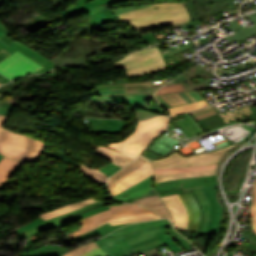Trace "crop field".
Returning <instances> with one entry per match:
<instances>
[{"mask_svg":"<svg viewBox=\"0 0 256 256\" xmlns=\"http://www.w3.org/2000/svg\"><path fill=\"white\" fill-rule=\"evenodd\" d=\"M183 204L185 205L186 209H187V212L189 214V222H188V228L187 230H190L192 231V226H193V212H192V209H191V206L187 200V198L184 196L183 193H180L179 194Z\"/></svg>","mask_w":256,"mask_h":256,"instance_id":"41","label":"crop field"},{"mask_svg":"<svg viewBox=\"0 0 256 256\" xmlns=\"http://www.w3.org/2000/svg\"><path fill=\"white\" fill-rule=\"evenodd\" d=\"M94 127L101 133L116 134L124 129L128 124L124 120H109L99 118H87Z\"/></svg>","mask_w":256,"mask_h":256,"instance_id":"17","label":"crop field"},{"mask_svg":"<svg viewBox=\"0 0 256 256\" xmlns=\"http://www.w3.org/2000/svg\"><path fill=\"white\" fill-rule=\"evenodd\" d=\"M97 201L98 200H96L94 198H90L86 201H82V202H79L77 204H72V205H69V206L61 207V208L56 209L54 211L41 214L40 216H42L44 218V220H46V219H49V218H52V217H56V216L68 213L70 211H73L75 209H78V208L83 207L87 204L94 203V202H97Z\"/></svg>","mask_w":256,"mask_h":256,"instance_id":"26","label":"crop field"},{"mask_svg":"<svg viewBox=\"0 0 256 256\" xmlns=\"http://www.w3.org/2000/svg\"><path fill=\"white\" fill-rule=\"evenodd\" d=\"M2 95H0V97H1Z\"/></svg>","mask_w":256,"mask_h":256,"instance_id":"63","label":"crop field"},{"mask_svg":"<svg viewBox=\"0 0 256 256\" xmlns=\"http://www.w3.org/2000/svg\"><path fill=\"white\" fill-rule=\"evenodd\" d=\"M112 1H113L114 3H117V2L128 1V0H112ZM107 7H108L107 4L104 3V4L98 6V7L94 8V9L88 11L87 13H88L89 15H90V14H93V13H97V12H99V11H101V10L107 8Z\"/></svg>","mask_w":256,"mask_h":256,"instance_id":"48","label":"crop field"},{"mask_svg":"<svg viewBox=\"0 0 256 256\" xmlns=\"http://www.w3.org/2000/svg\"><path fill=\"white\" fill-rule=\"evenodd\" d=\"M244 233H245L248 237H250V238L256 240V235L250 233L248 230L244 231Z\"/></svg>","mask_w":256,"mask_h":256,"instance_id":"56","label":"crop field"},{"mask_svg":"<svg viewBox=\"0 0 256 256\" xmlns=\"http://www.w3.org/2000/svg\"><path fill=\"white\" fill-rule=\"evenodd\" d=\"M100 203H103V202H98V203H96V204L87 206V207H85V208L79 209V210L74 211V212H72V213H69V214H66V215H64V216L58 217V220L63 219V218H66V217L71 216V215H73V214H76V213L81 212V211H83V210H86V209H88V208H90V207H93V206H95V205H98V204H100Z\"/></svg>","mask_w":256,"mask_h":256,"instance_id":"52","label":"crop field"},{"mask_svg":"<svg viewBox=\"0 0 256 256\" xmlns=\"http://www.w3.org/2000/svg\"><path fill=\"white\" fill-rule=\"evenodd\" d=\"M216 174V169L208 171H198V172H186V173H173V174H155L156 182L181 179L193 176H202V175H213Z\"/></svg>","mask_w":256,"mask_h":256,"instance_id":"24","label":"crop field"},{"mask_svg":"<svg viewBox=\"0 0 256 256\" xmlns=\"http://www.w3.org/2000/svg\"><path fill=\"white\" fill-rule=\"evenodd\" d=\"M251 222L256 233V206H251Z\"/></svg>","mask_w":256,"mask_h":256,"instance_id":"50","label":"crop field"},{"mask_svg":"<svg viewBox=\"0 0 256 256\" xmlns=\"http://www.w3.org/2000/svg\"><path fill=\"white\" fill-rule=\"evenodd\" d=\"M67 250H64L59 247H43L39 248L25 256H41V255H48V254H56V253H61L64 254Z\"/></svg>","mask_w":256,"mask_h":256,"instance_id":"32","label":"crop field"},{"mask_svg":"<svg viewBox=\"0 0 256 256\" xmlns=\"http://www.w3.org/2000/svg\"><path fill=\"white\" fill-rule=\"evenodd\" d=\"M57 225V224H56ZM52 226H55V225H51V226H49V227H47V228H50V227H52ZM47 228H45V229H47ZM44 230V229H43ZM41 231V230H40ZM39 232V231H38ZM35 233H37V232H35ZM35 233H33V234H35ZM33 234H30V235H27V236H24V237H22V238H25V237H28V236H31V235H33ZM22 238H20V239H22ZM19 239V240H20Z\"/></svg>","mask_w":256,"mask_h":256,"instance_id":"59","label":"crop field"},{"mask_svg":"<svg viewBox=\"0 0 256 256\" xmlns=\"http://www.w3.org/2000/svg\"><path fill=\"white\" fill-rule=\"evenodd\" d=\"M146 6H150V5L135 6V7H128V8H118V9H116V10H113V12H114L115 15H116V14H118V13L130 11V10H134V9H138V8H142V7H146Z\"/></svg>","mask_w":256,"mask_h":256,"instance_id":"51","label":"crop field"},{"mask_svg":"<svg viewBox=\"0 0 256 256\" xmlns=\"http://www.w3.org/2000/svg\"><path fill=\"white\" fill-rule=\"evenodd\" d=\"M249 111L246 110L244 112L238 113L236 115L230 116L228 118L223 119L218 113L208 116L206 118L198 120L199 124L204 128L205 131L213 129L215 127L221 126L223 124L229 123L241 117L249 115Z\"/></svg>","mask_w":256,"mask_h":256,"instance_id":"18","label":"crop field"},{"mask_svg":"<svg viewBox=\"0 0 256 256\" xmlns=\"http://www.w3.org/2000/svg\"><path fill=\"white\" fill-rule=\"evenodd\" d=\"M226 147L217 151L206 154L182 157L176 152L170 156L162 159L151 161L154 168H174V167H188L194 165L213 164L217 163L221 156L229 149Z\"/></svg>","mask_w":256,"mask_h":256,"instance_id":"8","label":"crop field"},{"mask_svg":"<svg viewBox=\"0 0 256 256\" xmlns=\"http://www.w3.org/2000/svg\"><path fill=\"white\" fill-rule=\"evenodd\" d=\"M192 194H193V192H192ZM194 195V194H193ZM194 197H195V195H194ZM195 199H196V197H195ZM196 201H197V199H196ZM197 203H198V205H199V202L197 201ZM199 207H200V205H199ZM200 210H201V213H202V216H203V212H202V209H201V207H200ZM201 221H202V217H201ZM200 225H201V223H200ZM199 229H200V227H199ZM201 230V229H200ZM199 232V231H198Z\"/></svg>","mask_w":256,"mask_h":256,"instance_id":"58","label":"crop field"},{"mask_svg":"<svg viewBox=\"0 0 256 256\" xmlns=\"http://www.w3.org/2000/svg\"><path fill=\"white\" fill-rule=\"evenodd\" d=\"M155 239H158V236L153 237V238L148 239V240H145V241H143V242H140V243L134 244V245L129 246V247H130V248H132V247H135V246H138V245L144 244V243H146V242H149V241H152V240H155Z\"/></svg>","mask_w":256,"mask_h":256,"instance_id":"55","label":"crop field"},{"mask_svg":"<svg viewBox=\"0 0 256 256\" xmlns=\"http://www.w3.org/2000/svg\"><path fill=\"white\" fill-rule=\"evenodd\" d=\"M214 188H216V185L183 190L184 192L193 191L202 206L204 216L200 232L207 231L218 235L223 209L217 201L216 190Z\"/></svg>","mask_w":256,"mask_h":256,"instance_id":"6","label":"crop field"},{"mask_svg":"<svg viewBox=\"0 0 256 256\" xmlns=\"http://www.w3.org/2000/svg\"><path fill=\"white\" fill-rule=\"evenodd\" d=\"M55 223H58L57 220H56V218L51 219V220H48V221H46V222H44V223H42V224H39V225H37V226H35V227L29 229V230L22 231V232H18L17 234H18L19 237H21V236H24V235L33 233V232H35V231H38V230H40V229H42V228H44V227H47V226H49V225H51V224H55Z\"/></svg>","mask_w":256,"mask_h":256,"instance_id":"35","label":"crop field"},{"mask_svg":"<svg viewBox=\"0 0 256 256\" xmlns=\"http://www.w3.org/2000/svg\"><path fill=\"white\" fill-rule=\"evenodd\" d=\"M119 168L120 167H118V166L114 165L113 163H111V164H108V165L100 168L99 170H101L103 173H105L108 176L107 178H109V176L111 174H113L115 171H117Z\"/></svg>","mask_w":256,"mask_h":256,"instance_id":"45","label":"crop field"},{"mask_svg":"<svg viewBox=\"0 0 256 256\" xmlns=\"http://www.w3.org/2000/svg\"><path fill=\"white\" fill-rule=\"evenodd\" d=\"M76 2H77V6L70 8L66 11L60 12L62 16L52 19V21L55 22L59 19L66 18V17H72V16L77 15L83 11L84 12L88 11V10L104 3L105 0H77Z\"/></svg>","mask_w":256,"mask_h":256,"instance_id":"19","label":"crop field"},{"mask_svg":"<svg viewBox=\"0 0 256 256\" xmlns=\"http://www.w3.org/2000/svg\"><path fill=\"white\" fill-rule=\"evenodd\" d=\"M237 249H241L249 252H256V245L248 243V244L237 247Z\"/></svg>","mask_w":256,"mask_h":256,"instance_id":"49","label":"crop field"},{"mask_svg":"<svg viewBox=\"0 0 256 256\" xmlns=\"http://www.w3.org/2000/svg\"><path fill=\"white\" fill-rule=\"evenodd\" d=\"M95 247H97V245L94 242H92L84 246L78 247L70 252H67L64 256H79Z\"/></svg>","mask_w":256,"mask_h":256,"instance_id":"34","label":"crop field"},{"mask_svg":"<svg viewBox=\"0 0 256 256\" xmlns=\"http://www.w3.org/2000/svg\"><path fill=\"white\" fill-rule=\"evenodd\" d=\"M216 168V164L195 166L189 168H175V169H154L155 173H173V172H186V171H198Z\"/></svg>","mask_w":256,"mask_h":256,"instance_id":"29","label":"crop field"},{"mask_svg":"<svg viewBox=\"0 0 256 256\" xmlns=\"http://www.w3.org/2000/svg\"><path fill=\"white\" fill-rule=\"evenodd\" d=\"M23 165V163L4 158L0 162V185L18 172Z\"/></svg>","mask_w":256,"mask_h":256,"instance_id":"22","label":"crop field"},{"mask_svg":"<svg viewBox=\"0 0 256 256\" xmlns=\"http://www.w3.org/2000/svg\"><path fill=\"white\" fill-rule=\"evenodd\" d=\"M243 233V232H242ZM243 235L246 237V238H248L244 233H243ZM249 240L248 241H250L251 243H255L256 244V241H254V240H252V239H250V238H248Z\"/></svg>","mask_w":256,"mask_h":256,"instance_id":"60","label":"crop field"},{"mask_svg":"<svg viewBox=\"0 0 256 256\" xmlns=\"http://www.w3.org/2000/svg\"><path fill=\"white\" fill-rule=\"evenodd\" d=\"M248 16L253 21V23L255 25L243 29V27L241 25H239L236 20L230 22V25L232 26V27H230V29H232L236 33L235 35H233L231 37L234 38L236 41L242 40L245 37L256 33V13L248 15Z\"/></svg>","mask_w":256,"mask_h":256,"instance_id":"23","label":"crop field"},{"mask_svg":"<svg viewBox=\"0 0 256 256\" xmlns=\"http://www.w3.org/2000/svg\"><path fill=\"white\" fill-rule=\"evenodd\" d=\"M243 2H245L244 0H242Z\"/></svg>","mask_w":256,"mask_h":256,"instance_id":"62","label":"crop field"},{"mask_svg":"<svg viewBox=\"0 0 256 256\" xmlns=\"http://www.w3.org/2000/svg\"><path fill=\"white\" fill-rule=\"evenodd\" d=\"M15 102H16L15 100H13L12 98H10L8 96L5 99H3L2 101H0V114L8 116L10 114L11 110L13 109V107L15 106L14 105ZM18 105H19V103H18Z\"/></svg>","mask_w":256,"mask_h":256,"instance_id":"33","label":"crop field"},{"mask_svg":"<svg viewBox=\"0 0 256 256\" xmlns=\"http://www.w3.org/2000/svg\"><path fill=\"white\" fill-rule=\"evenodd\" d=\"M20 51L22 54L25 56L31 58L32 60L40 63L43 65L45 68L42 70H39L37 73H42L45 71H48L52 69L54 64L49 61L47 58H45L43 55L39 54L38 52L34 51L33 49L19 43L18 41L13 43L12 45L8 46L0 41V61L3 60L4 58L8 57L15 51ZM39 64V65H40ZM36 74V73H34Z\"/></svg>","mask_w":256,"mask_h":256,"instance_id":"12","label":"crop field"},{"mask_svg":"<svg viewBox=\"0 0 256 256\" xmlns=\"http://www.w3.org/2000/svg\"><path fill=\"white\" fill-rule=\"evenodd\" d=\"M112 83H128L126 78L123 79H117V80H110L102 83H97V85H102V84H112Z\"/></svg>","mask_w":256,"mask_h":256,"instance_id":"53","label":"crop field"},{"mask_svg":"<svg viewBox=\"0 0 256 256\" xmlns=\"http://www.w3.org/2000/svg\"><path fill=\"white\" fill-rule=\"evenodd\" d=\"M118 16L132 22L138 32L190 21L184 3H159Z\"/></svg>","mask_w":256,"mask_h":256,"instance_id":"2","label":"crop field"},{"mask_svg":"<svg viewBox=\"0 0 256 256\" xmlns=\"http://www.w3.org/2000/svg\"><path fill=\"white\" fill-rule=\"evenodd\" d=\"M41 68H43L41 65L26 58L18 51L0 62V73L12 80L20 75L36 72Z\"/></svg>","mask_w":256,"mask_h":256,"instance_id":"10","label":"crop field"},{"mask_svg":"<svg viewBox=\"0 0 256 256\" xmlns=\"http://www.w3.org/2000/svg\"><path fill=\"white\" fill-rule=\"evenodd\" d=\"M162 199L173 217L175 226L186 230L188 214L178 194L163 196Z\"/></svg>","mask_w":256,"mask_h":256,"instance_id":"14","label":"crop field"},{"mask_svg":"<svg viewBox=\"0 0 256 256\" xmlns=\"http://www.w3.org/2000/svg\"><path fill=\"white\" fill-rule=\"evenodd\" d=\"M126 225H129V224L118 225V226H110L109 223H106L103 226H101V227H99V228H97V229H95V230H93V231H91L87 234L81 235L77 238H73L70 241H71V244H73V243H76V242H79V241L97 236L98 234L103 237L104 235H106V234H108V233H110V232H112V231H114L118 228L126 226Z\"/></svg>","mask_w":256,"mask_h":256,"instance_id":"25","label":"crop field"},{"mask_svg":"<svg viewBox=\"0 0 256 256\" xmlns=\"http://www.w3.org/2000/svg\"><path fill=\"white\" fill-rule=\"evenodd\" d=\"M6 119L7 117L0 115V153L19 161L36 163L43 153L45 143L2 128Z\"/></svg>","mask_w":256,"mask_h":256,"instance_id":"3","label":"crop field"},{"mask_svg":"<svg viewBox=\"0 0 256 256\" xmlns=\"http://www.w3.org/2000/svg\"><path fill=\"white\" fill-rule=\"evenodd\" d=\"M1 85V84H0Z\"/></svg>","mask_w":256,"mask_h":256,"instance_id":"64","label":"crop field"},{"mask_svg":"<svg viewBox=\"0 0 256 256\" xmlns=\"http://www.w3.org/2000/svg\"><path fill=\"white\" fill-rule=\"evenodd\" d=\"M156 254H159V252L157 251L156 248L151 249V250L146 251V252H143L144 256H153V255H156Z\"/></svg>","mask_w":256,"mask_h":256,"instance_id":"54","label":"crop field"},{"mask_svg":"<svg viewBox=\"0 0 256 256\" xmlns=\"http://www.w3.org/2000/svg\"><path fill=\"white\" fill-rule=\"evenodd\" d=\"M160 216H154V217H143V218H128V219H122L114 222H110L111 225H118V224H124V223H131V222H142V221H148V220H154V219H160Z\"/></svg>","mask_w":256,"mask_h":256,"instance_id":"39","label":"crop field"},{"mask_svg":"<svg viewBox=\"0 0 256 256\" xmlns=\"http://www.w3.org/2000/svg\"><path fill=\"white\" fill-rule=\"evenodd\" d=\"M147 162H148L147 160L143 159L142 157H139L130 165L125 167L123 170L111 176V178L107 181V186L109 191H111L120 180H122L124 177H126L131 172H133L134 170H136L137 168H139L140 166L144 165Z\"/></svg>","mask_w":256,"mask_h":256,"instance_id":"20","label":"crop field"},{"mask_svg":"<svg viewBox=\"0 0 256 256\" xmlns=\"http://www.w3.org/2000/svg\"><path fill=\"white\" fill-rule=\"evenodd\" d=\"M128 203H135L150 208L158 212L163 217L170 219L172 222V217L169 211L167 210L166 206L164 205V203L162 202L161 198L157 193L136 200H132L131 202Z\"/></svg>","mask_w":256,"mask_h":256,"instance_id":"16","label":"crop field"},{"mask_svg":"<svg viewBox=\"0 0 256 256\" xmlns=\"http://www.w3.org/2000/svg\"><path fill=\"white\" fill-rule=\"evenodd\" d=\"M119 20L121 19L117 15L115 16L110 8L90 16V22L94 27L105 22H115Z\"/></svg>","mask_w":256,"mask_h":256,"instance_id":"27","label":"crop field"},{"mask_svg":"<svg viewBox=\"0 0 256 256\" xmlns=\"http://www.w3.org/2000/svg\"><path fill=\"white\" fill-rule=\"evenodd\" d=\"M158 47L134 52L115 62L113 68H125L127 76L139 75L166 68Z\"/></svg>","mask_w":256,"mask_h":256,"instance_id":"5","label":"crop field"},{"mask_svg":"<svg viewBox=\"0 0 256 256\" xmlns=\"http://www.w3.org/2000/svg\"><path fill=\"white\" fill-rule=\"evenodd\" d=\"M185 196L188 198L191 206H192V209H193V212H194V227H193V231L197 232L198 230V226H199V222H200V217H201V214H200V210L197 206V203L194 199V197L192 196L191 192H188V193H184Z\"/></svg>","mask_w":256,"mask_h":256,"instance_id":"31","label":"crop field"},{"mask_svg":"<svg viewBox=\"0 0 256 256\" xmlns=\"http://www.w3.org/2000/svg\"><path fill=\"white\" fill-rule=\"evenodd\" d=\"M42 221H44V220H43V218L40 217V218H38V219H36V220H34V221H32V222H30V223H28V224H26V225L20 227V228H17V229H15V230H13V231L7 233L6 236H8V235H10V234H13V233H16V232H18V231L25 230V229H27V228H29V227H31V226H33V225H36V224H38V223H40V222H42Z\"/></svg>","mask_w":256,"mask_h":256,"instance_id":"46","label":"crop field"},{"mask_svg":"<svg viewBox=\"0 0 256 256\" xmlns=\"http://www.w3.org/2000/svg\"><path fill=\"white\" fill-rule=\"evenodd\" d=\"M181 91H185L182 84L170 85V86H165L158 89L156 95L169 94V93L181 92Z\"/></svg>","mask_w":256,"mask_h":256,"instance_id":"36","label":"crop field"},{"mask_svg":"<svg viewBox=\"0 0 256 256\" xmlns=\"http://www.w3.org/2000/svg\"><path fill=\"white\" fill-rule=\"evenodd\" d=\"M156 213L144 209L137 205L124 204L119 206H112L111 209L83 219V226L80 230L68 234L69 239L87 233L108 221L127 217H143L154 216Z\"/></svg>","mask_w":256,"mask_h":256,"instance_id":"7","label":"crop field"},{"mask_svg":"<svg viewBox=\"0 0 256 256\" xmlns=\"http://www.w3.org/2000/svg\"><path fill=\"white\" fill-rule=\"evenodd\" d=\"M214 113H216V111L214 110V108L212 106L203 108V109H200L197 111L190 112L191 116L194 117L196 120L206 117L208 115L214 114Z\"/></svg>","mask_w":256,"mask_h":256,"instance_id":"37","label":"crop field"},{"mask_svg":"<svg viewBox=\"0 0 256 256\" xmlns=\"http://www.w3.org/2000/svg\"><path fill=\"white\" fill-rule=\"evenodd\" d=\"M11 34H13V33L11 31H9L4 25H2L0 23V40L9 44V45L12 44L15 41L7 38Z\"/></svg>","mask_w":256,"mask_h":256,"instance_id":"43","label":"crop field"},{"mask_svg":"<svg viewBox=\"0 0 256 256\" xmlns=\"http://www.w3.org/2000/svg\"><path fill=\"white\" fill-rule=\"evenodd\" d=\"M4 157H2L1 155H0V161L3 159Z\"/></svg>","mask_w":256,"mask_h":256,"instance_id":"61","label":"crop field"},{"mask_svg":"<svg viewBox=\"0 0 256 256\" xmlns=\"http://www.w3.org/2000/svg\"><path fill=\"white\" fill-rule=\"evenodd\" d=\"M168 120L167 116H155L146 121H138L132 134L122 141L111 142L107 147L135 159L154 137L167 129Z\"/></svg>","mask_w":256,"mask_h":256,"instance_id":"4","label":"crop field"},{"mask_svg":"<svg viewBox=\"0 0 256 256\" xmlns=\"http://www.w3.org/2000/svg\"><path fill=\"white\" fill-rule=\"evenodd\" d=\"M191 19L236 8L234 0H186Z\"/></svg>","mask_w":256,"mask_h":256,"instance_id":"11","label":"crop field"},{"mask_svg":"<svg viewBox=\"0 0 256 256\" xmlns=\"http://www.w3.org/2000/svg\"><path fill=\"white\" fill-rule=\"evenodd\" d=\"M177 77V76H176ZM175 77L168 78L170 80ZM133 83V84H112L97 86L96 95L98 96H121V95H134V94H147L153 93L157 87L167 83L165 80Z\"/></svg>","mask_w":256,"mask_h":256,"instance_id":"9","label":"crop field"},{"mask_svg":"<svg viewBox=\"0 0 256 256\" xmlns=\"http://www.w3.org/2000/svg\"><path fill=\"white\" fill-rule=\"evenodd\" d=\"M153 174L150 163L148 162L141 168L137 169L121 182L117 184V186L110 192L112 196L124 191L125 189L131 187L132 185L136 184L137 182L141 181L142 179L148 177L149 175Z\"/></svg>","mask_w":256,"mask_h":256,"instance_id":"15","label":"crop field"},{"mask_svg":"<svg viewBox=\"0 0 256 256\" xmlns=\"http://www.w3.org/2000/svg\"><path fill=\"white\" fill-rule=\"evenodd\" d=\"M246 109H248L251 114H255V115H256V109L254 108V106L249 107V105L244 106V107H241V108L236 109V110L231 111V112H229L228 110L222 111V112H219V114H220L223 118H225V117H227V116L233 115V114H235V113L241 112V111L246 110Z\"/></svg>","mask_w":256,"mask_h":256,"instance_id":"42","label":"crop field"},{"mask_svg":"<svg viewBox=\"0 0 256 256\" xmlns=\"http://www.w3.org/2000/svg\"><path fill=\"white\" fill-rule=\"evenodd\" d=\"M106 209H109V207H108V206H105V207H102V208H97V209H95V210H93V211H90V212L85 213V214H83V215H80V216H78V217H74V218L69 219V220H67V221H64V222H62V223H60V224L65 225V224L68 223V222H71V221H74V220H78V219H81V218H84V217H88V216H90V215L96 214V213L101 212V211H104V210H106Z\"/></svg>","mask_w":256,"mask_h":256,"instance_id":"44","label":"crop field"},{"mask_svg":"<svg viewBox=\"0 0 256 256\" xmlns=\"http://www.w3.org/2000/svg\"><path fill=\"white\" fill-rule=\"evenodd\" d=\"M106 253L102 251L99 247L81 255V256H104Z\"/></svg>","mask_w":256,"mask_h":256,"instance_id":"47","label":"crop field"},{"mask_svg":"<svg viewBox=\"0 0 256 256\" xmlns=\"http://www.w3.org/2000/svg\"><path fill=\"white\" fill-rule=\"evenodd\" d=\"M169 223L170 222L166 219L136 223L114 231L105 238L94 242L109 256L135 255L127 246L166 231L164 226Z\"/></svg>","mask_w":256,"mask_h":256,"instance_id":"1","label":"crop field"},{"mask_svg":"<svg viewBox=\"0 0 256 256\" xmlns=\"http://www.w3.org/2000/svg\"><path fill=\"white\" fill-rule=\"evenodd\" d=\"M252 205H256V186H255V189H254V196H253Z\"/></svg>","mask_w":256,"mask_h":256,"instance_id":"57","label":"crop field"},{"mask_svg":"<svg viewBox=\"0 0 256 256\" xmlns=\"http://www.w3.org/2000/svg\"><path fill=\"white\" fill-rule=\"evenodd\" d=\"M205 106H208V103L206 102V100L197 102L194 104L178 107V108H173V109H170L171 116L180 114V113H184V112H188V111H192V110H196V109H199V108H202Z\"/></svg>","mask_w":256,"mask_h":256,"instance_id":"30","label":"crop field"},{"mask_svg":"<svg viewBox=\"0 0 256 256\" xmlns=\"http://www.w3.org/2000/svg\"><path fill=\"white\" fill-rule=\"evenodd\" d=\"M156 97L158 101L167 108H173L204 100L199 91L181 92Z\"/></svg>","mask_w":256,"mask_h":256,"instance_id":"13","label":"crop field"},{"mask_svg":"<svg viewBox=\"0 0 256 256\" xmlns=\"http://www.w3.org/2000/svg\"><path fill=\"white\" fill-rule=\"evenodd\" d=\"M160 245H163V243H162V241L160 239H158V240L146 243L144 245L132 248V250L135 253H140V252L146 251L148 249H151V248H154V247H157V246H160Z\"/></svg>","mask_w":256,"mask_h":256,"instance_id":"40","label":"crop field"},{"mask_svg":"<svg viewBox=\"0 0 256 256\" xmlns=\"http://www.w3.org/2000/svg\"><path fill=\"white\" fill-rule=\"evenodd\" d=\"M95 153L111 160L113 163L121 167L134 160L124 154H121L115 150H111L103 146H99Z\"/></svg>","mask_w":256,"mask_h":256,"instance_id":"21","label":"crop field"},{"mask_svg":"<svg viewBox=\"0 0 256 256\" xmlns=\"http://www.w3.org/2000/svg\"><path fill=\"white\" fill-rule=\"evenodd\" d=\"M174 240L184 249H190L189 247L193 246L188 241H186L180 234L176 233L175 231L167 232Z\"/></svg>","mask_w":256,"mask_h":256,"instance_id":"38","label":"crop field"},{"mask_svg":"<svg viewBox=\"0 0 256 256\" xmlns=\"http://www.w3.org/2000/svg\"><path fill=\"white\" fill-rule=\"evenodd\" d=\"M79 169L89 178H91L94 182L103 185L105 184L106 175H104L101 171L96 169H89L88 167L82 165Z\"/></svg>","mask_w":256,"mask_h":256,"instance_id":"28","label":"crop field"}]
</instances>
